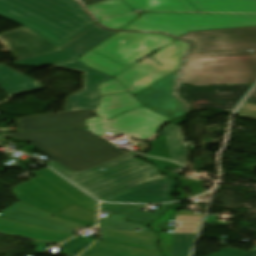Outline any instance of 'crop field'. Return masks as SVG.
<instances>
[{
	"instance_id": "8a807250",
	"label": "crop field",
	"mask_w": 256,
	"mask_h": 256,
	"mask_svg": "<svg viewBox=\"0 0 256 256\" xmlns=\"http://www.w3.org/2000/svg\"><path fill=\"white\" fill-rule=\"evenodd\" d=\"M114 33L95 24L60 48L63 51L15 62L20 66H44L73 59L74 61L57 66L84 72V90L68 97L64 113L15 119L19 131L75 128H83V130L3 134V136L22 139L34 145L52 160L75 173L128 154L129 152L117 149L84 129L85 120L94 116L100 100L98 84L113 77L93 70L75 59Z\"/></svg>"
},
{
	"instance_id": "ac0d7876",
	"label": "crop field",
	"mask_w": 256,
	"mask_h": 256,
	"mask_svg": "<svg viewBox=\"0 0 256 256\" xmlns=\"http://www.w3.org/2000/svg\"><path fill=\"white\" fill-rule=\"evenodd\" d=\"M0 16L59 48L95 24L74 0H0Z\"/></svg>"
},
{
	"instance_id": "34b2d1b8",
	"label": "crop field",
	"mask_w": 256,
	"mask_h": 256,
	"mask_svg": "<svg viewBox=\"0 0 256 256\" xmlns=\"http://www.w3.org/2000/svg\"><path fill=\"white\" fill-rule=\"evenodd\" d=\"M49 170L44 169L37 172L35 175L38 178L13 188L12 191L18 201L53 215L71 204L97 212L96 201ZM54 218L91 228L96 225L97 214L72 206Z\"/></svg>"
},
{
	"instance_id": "412701ff",
	"label": "crop field",
	"mask_w": 256,
	"mask_h": 256,
	"mask_svg": "<svg viewBox=\"0 0 256 256\" xmlns=\"http://www.w3.org/2000/svg\"><path fill=\"white\" fill-rule=\"evenodd\" d=\"M137 156L130 153L79 174L55 162L48 166L100 200L143 183L166 179L157 173L154 166L135 160ZM102 168L106 170L99 172Z\"/></svg>"
},
{
	"instance_id": "f4fd0767",
	"label": "crop field",
	"mask_w": 256,
	"mask_h": 256,
	"mask_svg": "<svg viewBox=\"0 0 256 256\" xmlns=\"http://www.w3.org/2000/svg\"><path fill=\"white\" fill-rule=\"evenodd\" d=\"M180 83L192 86L256 83V51L188 55Z\"/></svg>"
},
{
	"instance_id": "dd49c442",
	"label": "crop field",
	"mask_w": 256,
	"mask_h": 256,
	"mask_svg": "<svg viewBox=\"0 0 256 256\" xmlns=\"http://www.w3.org/2000/svg\"><path fill=\"white\" fill-rule=\"evenodd\" d=\"M174 39L163 34L118 32L77 60L114 77Z\"/></svg>"
},
{
	"instance_id": "e52e79f7",
	"label": "crop field",
	"mask_w": 256,
	"mask_h": 256,
	"mask_svg": "<svg viewBox=\"0 0 256 256\" xmlns=\"http://www.w3.org/2000/svg\"><path fill=\"white\" fill-rule=\"evenodd\" d=\"M256 26V16L226 14L145 13L121 30L164 32L179 37L188 31Z\"/></svg>"
},
{
	"instance_id": "d8731c3e",
	"label": "crop field",
	"mask_w": 256,
	"mask_h": 256,
	"mask_svg": "<svg viewBox=\"0 0 256 256\" xmlns=\"http://www.w3.org/2000/svg\"><path fill=\"white\" fill-rule=\"evenodd\" d=\"M188 49L189 43L177 40L157 51L154 55V58L163 63L164 66L160 67L148 59H145L116 76L115 79L122 84L131 95H135L177 71L180 67L182 57Z\"/></svg>"
},
{
	"instance_id": "5a996713",
	"label": "crop field",
	"mask_w": 256,
	"mask_h": 256,
	"mask_svg": "<svg viewBox=\"0 0 256 256\" xmlns=\"http://www.w3.org/2000/svg\"><path fill=\"white\" fill-rule=\"evenodd\" d=\"M180 38L193 43L189 53L256 50V27L189 32Z\"/></svg>"
},
{
	"instance_id": "3316defc",
	"label": "crop field",
	"mask_w": 256,
	"mask_h": 256,
	"mask_svg": "<svg viewBox=\"0 0 256 256\" xmlns=\"http://www.w3.org/2000/svg\"><path fill=\"white\" fill-rule=\"evenodd\" d=\"M250 87V85L190 87L179 84L177 97L188 105V110L219 108L230 111Z\"/></svg>"
},
{
	"instance_id": "28ad6ade",
	"label": "crop field",
	"mask_w": 256,
	"mask_h": 256,
	"mask_svg": "<svg viewBox=\"0 0 256 256\" xmlns=\"http://www.w3.org/2000/svg\"><path fill=\"white\" fill-rule=\"evenodd\" d=\"M124 218V215L116 214H108V217L100 218L99 228L102 237L99 240L157 250L155 248L157 236L154 232L142 225L126 223ZM135 229L143 231L134 232Z\"/></svg>"
},
{
	"instance_id": "d1516ede",
	"label": "crop field",
	"mask_w": 256,
	"mask_h": 256,
	"mask_svg": "<svg viewBox=\"0 0 256 256\" xmlns=\"http://www.w3.org/2000/svg\"><path fill=\"white\" fill-rule=\"evenodd\" d=\"M179 71L171 74L136 97L151 110L172 119L184 114L185 105L174 97L173 90Z\"/></svg>"
},
{
	"instance_id": "22f410ed",
	"label": "crop field",
	"mask_w": 256,
	"mask_h": 256,
	"mask_svg": "<svg viewBox=\"0 0 256 256\" xmlns=\"http://www.w3.org/2000/svg\"><path fill=\"white\" fill-rule=\"evenodd\" d=\"M170 121L142 107L137 110L124 113L112 119L111 126L127 134L136 131L140 133L136 137L144 141H151L156 135L159 126Z\"/></svg>"
},
{
	"instance_id": "cbeb9de0",
	"label": "crop field",
	"mask_w": 256,
	"mask_h": 256,
	"mask_svg": "<svg viewBox=\"0 0 256 256\" xmlns=\"http://www.w3.org/2000/svg\"><path fill=\"white\" fill-rule=\"evenodd\" d=\"M11 46V53L17 60L60 51L32 30L23 27L0 35Z\"/></svg>"
},
{
	"instance_id": "5142ce71",
	"label": "crop field",
	"mask_w": 256,
	"mask_h": 256,
	"mask_svg": "<svg viewBox=\"0 0 256 256\" xmlns=\"http://www.w3.org/2000/svg\"><path fill=\"white\" fill-rule=\"evenodd\" d=\"M1 213L0 217L8 220L61 232L74 234L75 230L83 228V226L54 219L53 215L20 202Z\"/></svg>"
},
{
	"instance_id": "d9b57169",
	"label": "crop field",
	"mask_w": 256,
	"mask_h": 256,
	"mask_svg": "<svg viewBox=\"0 0 256 256\" xmlns=\"http://www.w3.org/2000/svg\"><path fill=\"white\" fill-rule=\"evenodd\" d=\"M0 234L6 236L23 237L37 241L34 243V246L37 247L36 254H45L46 244L58 245L75 236L72 234L20 224L2 218H0Z\"/></svg>"
},
{
	"instance_id": "733c2abd",
	"label": "crop field",
	"mask_w": 256,
	"mask_h": 256,
	"mask_svg": "<svg viewBox=\"0 0 256 256\" xmlns=\"http://www.w3.org/2000/svg\"><path fill=\"white\" fill-rule=\"evenodd\" d=\"M175 187V181H162L143 184L116 195L102 199L107 202L159 203L170 201V191Z\"/></svg>"
},
{
	"instance_id": "4a817a6b",
	"label": "crop field",
	"mask_w": 256,
	"mask_h": 256,
	"mask_svg": "<svg viewBox=\"0 0 256 256\" xmlns=\"http://www.w3.org/2000/svg\"><path fill=\"white\" fill-rule=\"evenodd\" d=\"M198 12L256 13V0H188Z\"/></svg>"
},
{
	"instance_id": "bc2a9ffb",
	"label": "crop field",
	"mask_w": 256,
	"mask_h": 256,
	"mask_svg": "<svg viewBox=\"0 0 256 256\" xmlns=\"http://www.w3.org/2000/svg\"><path fill=\"white\" fill-rule=\"evenodd\" d=\"M142 107L128 92L107 95L101 103L98 114L112 119L123 112Z\"/></svg>"
},
{
	"instance_id": "214f88e0",
	"label": "crop field",
	"mask_w": 256,
	"mask_h": 256,
	"mask_svg": "<svg viewBox=\"0 0 256 256\" xmlns=\"http://www.w3.org/2000/svg\"><path fill=\"white\" fill-rule=\"evenodd\" d=\"M0 86L9 96L42 88L38 83L3 65H0Z\"/></svg>"
},
{
	"instance_id": "92a150f3",
	"label": "crop field",
	"mask_w": 256,
	"mask_h": 256,
	"mask_svg": "<svg viewBox=\"0 0 256 256\" xmlns=\"http://www.w3.org/2000/svg\"><path fill=\"white\" fill-rule=\"evenodd\" d=\"M172 204L161 205L152 213L141 212L144 205L101 204L100 212L128 214L130 221L148 224Z\"/></svg>"
},
{
	"instance_id": "dafd665d",
	"label": "crop field",
	"mask_w": 256,
	"mask_h": 256,
	"mask_svg": "<svg viewBox=\"0 0 256 256\" xmlns=\"http://www.w3.org/2000/svg\"><path fill=\"white\" fill-rule=\"evenodd\" d=\"M124 245L97 241L90 247L83 256H161L159 253L145 251L137 248L125 247L122 254L121 251Z\"/></svg>"
},
{
	"instance_id": "00972430",
	"label": "crop field",
	"mask_w": 256,
	"mask_h": 256,
	"mask_svg": "<svg viewBox=\"0 0 256 256\" xmlns=\"http://www.w3.org/2000/svg\"><path fill=\"white\" fill-rule=\"evenodd\" d=\"M160 136H166L172 160L187 165L188 155L183 144L182 128L169 124L162 129Z\"/></svg>"
},
{
	"instance_id": "a9b5d70f",
	"label": "crop field",
	"mask_w": 256,
	"mask_h": 256,
	"mask_svg": "<svg viewBox=\"0 0 256 256\" xmlns=\"http://www.w3.org/2000/svg\"><path fill=\"white\" fill-rule=\"evenodd\" d=\"M132 9L197 12L187 0H123Z\"/></svg>"
},
{
	"instance_id": "4177f3b9",
	"label": "crop field",
	"mask_w": 256,
	"mask_h": 256,
	"mask_svg": "<svg viewBox=\"0 0 256 256\" xmlns=\"http://www.w3.org/2000/svg\"><path fill=\"white\" fill-rule=\"evenodd\" d=\"M85 8L96 20L133 12L122 0H106Z\"/></svg>"
},
{
	"instance_id": "730fd06b",
	"label": "crop field",
	"mask_w": 256,
	"mask_h": 256,
	"mask_svg": "<svg viewBox=\"0 0 256 256\" xmlns=\"http://www.w3.org/2000/svg\"><path fill=\"white\" fill-rule=\"evenodd\" d=\"M177 204H175L171 209H169L166 213H164L161 217L155 220L149 228L161 233L163 230H173V228L167 227V224L170 220H175V210ZM174 233H161V238L159 241V245L162 251L166 254V256H171L172 249V240Z\"/></svg>"
},
{
	"instance_id": "eef30255",
	"label": "crop field",
	"mask_w": 256,
	"mask_h": 256,
	"mask_svg": "<svg viewBox=\"0 0 256 256\" xmlns=\"http://www.w3.org/2000/svg\"><path fill=\"white\" fill-rule=\"evenodd\" d=\"M196 234H175L172 256H189Z\"/></svg>"
},
{
	"instance_id": "ae1a2a85",
	"label": "crop field",
	"mask_w": 256,
	"mask_h": 256,
	"mask_svg": "<svg viewBox=\"0 0 256 256\" xmlns=\"http://www.w3.org/2000/svg\"><path fill=\"white\" fill-rule=\"evenodd\" d=\"M93 241L94 239H88V238L77 236L72 240L66 242L65 244L59 246L63 248L59 254L78 255L83 249H85Z\"/></svg>"
},
{
	"instance_id": "d3111659",
	"label": "crop field",
	"mask_w": 256,
	"mask_h": 256,
	"mask_svg": "<svg viewBox=\"0 0 256 256\" xmlns=\"http://www.w3.org/2000/svg\"><path fill=\"white\" fill-rule=\"evenodd\" d=\"M109 121L103 118L97 117L86 121V130L99 136L108 132L116 133L117 136L121 133L114 131L108 127Z\"/></svg>"
},
{
	"instance_id": "750c4746",
	"label": "crop field",
	"mask_w": 256,
	"mask_h": 256,
	"mask_svg": "<svg viewBox=\"0 0 256 256\" xmlns=\"http://www.w3.org/2000/svg\"><path fill=\"white\" fill-rule=\"evenodd\" d=\"M179 183H180V185L177 189V193L181 194V196L179 197L180 200L191 198V197H194V196H198V195L206 192L204 190V188L202 187V184L199 183V182L179 179ZM184 187H189L192 194L187 196V197H183V196H185V193L182 192V189Z\"/></svg>"
},
{
	"instance_id": "bd1437ed",
	"label": "crop field",
	"mask_w": 256,
	"mask_h": 256,
	"mask_svg": "<svg viewBox=\"0 0 256 256\" xmlns=\"http://www.w3.org/2000/svg\"><path fill=\"white\" fill-rule=\"evenodd\" d=\"M135 17H137V15L135 13H132V14L100 21L99 23L107 28L118 30L119 28H121L122 26L126 25L131 20H133Z\"/></svg>"
},
{
	"instance_id": "1d83c4d3",
	"label": "crop field",
	"mask_w": 256,
	"mask_h": 256,
	"mask_svg": "<svg viewBox=\"0 0 256 256\" xmlns=\"http://www.w3.org/2000/svg\"><path fill=\"white\" fill-rule=\"evenodd\" d=\"M153 146L154 148L148 155L162 159H170L165 137L159 138L157 142L153 143Z\"/></svg>"
},
{
	"instance_id": "120bbe31",
	"label": "crop field",
	"mask_w": 256,
	"mask_h": 256,
	"mask_svg": "<svg viewBox=\"0 0 256 256\" xmlns=\"http://www.w3.org/2000/svg\"><path fill=\"white\" fill-rule=\"evenodd\" d=\"M143 159H145L146 161L150 162V163H153V164H156L158 165L161 170L162 168H170L171 170L170 171H163L162 170V173L167 175V176H171V177H175V178H178L177 176H174L173 175V170L174 168H184L178 164H175V163H172V162H169V161H162V160H157V159H153V158H149V157H143Z\"/></svg>"
},
{
	"instance_id": "d32e631a",
	"label": "crop field",
	"mask_w": 256,
	"mask_h": 256,
	"mask_svg": "<svg viewBox=\"0 0 256 256\" xmlns=\"http://www.w3.org/2000/svg\"><path fill=\"white\" fill-rule=\"evenodd\" d=\"M126 90L122 85H120L115 79H112L108 82L100 84V93L109 94Z\"/></svg>"
},
{
	"instance_id": "5866460e",
	"label": "crop field",
	"mask_w": 256,
	"mask_h": 256,
	"mask_svg": "<svg viewBox=\"0 0 256 256\" xmlns=\"http://www.w3.org/2000/svg\"><path fill=\"white\" fill-rule=\"evenodd\" d=\"M235 114L256 119V105L244 102Z\"/></svg>"
},
{
	"instance_id": "028f5c9d",
	"label": "crop field",
	"mask_w": 256,
	"mask_h": 256,
	"mask_svg": "<svg viewBox=\"0 0 256 256\" xmlns=\"http://www.w3.org/2000/svg\"><path fill=\"white\" fill-rule=\"evenodd\" d=\"M246 252L245 251H240L236 249H231V248H224L214 254H211L209 256H243Z\"/></svg>"
},
{
	"instance_id": "e1f06a70",
	"label": "crop field",
	"mask_w": 256,
	"mask_h": 256,
	"mask_svg": "<svg viewBox=\"0 0 256 256\" xmlns=\"http://www.w3.org/2000/svg\"><path fill=\"white\" fill-rule=\"evenodd\" d=\"M246 102H250V103L256 104V89H255L254 92L248 97V99L246 100Z\"/></svg>"
},
{
	"instance_id": "0bd39190",
	"label": "crop field",
	"mask_w": 256,
	"mask_h": 256,
	"mask_svg": "<svg viewBox=\"0 0 256 256\" xmlns=\"http://www.w3.org/2000/svg\"><path fill=\"white\" fill-rule=\"evenodd\" d=\"M84 6L89 5V4H93L99 1H103V0H79Z\"/></svg>"
},
{
	"instance_id": "b80d0937",
	"label": "crop field",
	"mask_w": 256,
	"mask_h": 256,
	"mask_svg": "<svg viewBox=\"0 0 256 256\" xmlns=\"http://www.w3.org/2000/svg\"><path fill=\"white\" fill-rule=\"evenodd\" d=\"M244 256H256V252L246 253Z\"/></svg>"
}]
</instances>
